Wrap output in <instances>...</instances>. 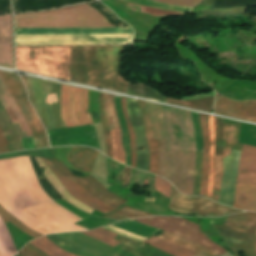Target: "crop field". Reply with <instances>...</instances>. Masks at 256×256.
Wrapping results in <instances>:
<instances>
[{
  "label": "crop field",
  "instance_id": "8a807250",
  "mask_svg": "<svg viewBox=\"0 0 256 256\" xmlns=\"http://www.w3.org/2000/svg\"><path fill=\"white\" fill-rule=\"evenodd\" d=\"M118 27L85 3L15 15V29ZM131 28L15 30V35L132 33ZM131 34L16 36L17 45L127 44Z\"/></svg>",
  "mask_w": 256,
  "mask_h": 256
},
{
  "label": "crop field",
  "instance_id": "ac0d7876",
  "mask_svg": "<svg viewBox=\"0 0 256 256\" xmlns=\"http://www.w3.org/2000/svg\"><path fill=\"white\" fill-rule=\"evenodd\" d=\"M240 143L256 147V126L242 123ZM243 145L241 151H232L223 159L224 177L220 188L219 203L232 207L237 182L256 183V148ZM234 208L256 211V184L237 183Z\"/></svg>",
  "mask_w": 256,
  "mask_h": 256
},
{
  "label": "crop field",
  "instance_id": "34b2d1b8",
  "mask_svg": "<svg viewBox=\"0 0 256 256\" xmlns=\"http://www.w3.org/2000/svg\"><path fill=\"white\" fill-rule=\"evenodd\" d=\"M123 46L72 47L73 81L126 93L120 75Z\"/></svg>",
  "mask_w": 256,
  "mask_h": 256
},
{
  "label": "crop field",
  "instance_id": "412701ff",
  "mask_svg": "<svg viewBox=\"0 0 256 256\" xmlns=\"http://www.w3.org/2000/svg\"><path fill=\"white\" fill-rule=\"evenodd\" d=\"M16 68L71 81L70 47H15Z\"/></svg>",
  "mask_w": 256,
  "mask_h": 256
},
{
  "label": "crop field",
  "instance_id": "f4fd0767",
  "mask_svg": "<svg viewBox=\"0 0 256 256\" xmlns=\"http://www.w3.org/2000/svg\"><path fill=\"white\" fill-rule=\"evenodd\" d=\"M158 145L159 175L181 193L192 195L196 152L167 151L165 139L158 140Z\"/></svg>",
  "mask_w": 256,
  "mask_h": 256
},
{
  "label": "crop field",
  "instance_id": "dd49c442",
  "mask_svg": "<svg viewBox=\"0 0 256 256\" xmlns=\"http://www.w3.org/2000/svg\"><path fill=\"white\" fill-rule=\"evenodd\" d=\"M157 114L161 137L166 138L167 149L196 151V140L190 111L163 106Z\"/></svg>",
  "mask_w": 256,
  "mask_h": 256
},
{
  "label": "crop field",
  "instance_id": "e52e79f7",
  "mask_svg": "<svg viewBox=\"0 0 256 256\" xmlns=\"http://www.w3.org/2000/svg\"><path fill=\"white\" fill-rule=\"evenodd\" d=\"M29 96L47 130L65 127L60 117V84L27 78Z\"/></svg>",
  "mask_w": 256,
  "mask_h": 256
},
{
  "label": "crop field",
  "instance_id": "d8731c3e",
  "mask_svg": "<svg viewBox=\"0 0 256 256\" xmlns=\"http://www.w3.org/2000/svg\"><path fill=\"white\" fill-rule=\"evenodd\" d=\"M134 220L196 242L218 256L227 252V250L216 246L204 234H202L198 229V225L181 217H145L135 218Z\"/></svg>",
  "mask_w": 256,
  "mask_h": 256
},
{
  "label": "crop field",
  "instance_id": "5a996713",
  "mask_svg": "<svg viewBox=\"0 0 256 256\" xmlns=\"http://www.w3.org/2000/svg\"><path fill=\"white\" fill-rule=\"evenodd\" d=\"M61 117L66 127L93 123L88 114V90L61 84Z\"/></svg>",
  "mask_w": 256,
  "mask_h": 256
},
{
  "label": "crop field",
  "instance_id": "3316defc",
  "mask_svg": "<svg viewBox=\"0 0 256 256\" xmlns=\"http://www.w3.org/2000/svg\"><path fill=\"white\" fill-rule=\"evenodd\" d=\"M52 163L59 169L61 170L65 175L69 176L73 180L77 181L79 184H81L86 190H88L92 195L97 197L98 199L109 203L115 208L120 207L123 205L126 201L120 199L116 195L108 192L105 187H103L98 181H96L93 177L90 175L86 177L79 178L75 175H73L68 168L58 159H53ZM76 182V183H77ZM112 213H116L122 216H125L127 218H132V217H138V216H146V215H151L143 211H139L136 209H132L128 206L122 207L120 210H116Z\"/></svg>",
  "mask_w": 256,
  "mask_h": 256
},
{
  "label": "crop field",
  "instance_id": "28ad6ade",
  "mask_svg": "<svg viewBox=\"0 0 256 256\" xmlns=\"http://www.w3.org/2000/svg\"><path fill=\"white\" fill-rule=\"evenodd\" d=\"M47 237L66 251L73 253L77 256H100L76 248L68 242L54 235H47ZM115 240H118L122 243L111 249L116 252L113 256H171L165 252H162L151 246H145L141 242L126 238L122 235H118Z\"/></svg>",
  "mask_w": 256,
  "mask_h": 256
},
{
  "label": "crop field",
  "instance_id": "d1516ede",
  "mask_svg": "<svg viewBox=\"0 0 256 256\" xmlns=\"http://www.w3.org/2000/svg\"><path fill=\"white\" fill-rule=\"evenodd\" d=\"M169 209L179 213L199 212L201 216H221L241 211L217 205L203 197L181 195L175 188L173 189Z\"/></svg>",
  "mask_w": 256,
  "mask_h": 256
},
{
  "label": "crop field",
  "instance_id": "22f410ed",
  "mask_svg": "<svg viewBox=\"0 0 256 256\" xmlns=\"http://www.w3.org/2000/svg\"><path fill=\"white\" fill-rule=\"evenodd\" d=\"M0 74L9 88L20 111L22 112L26 122L32 130L33 135L46 134L27 99L25 88L19 76L2 71H0Z\"/></svg>",
  "mask_w": 256,
  "mask_h": 256
},
{
  "label": "crop field",
  "instance_id": "cbeb9de0",
  "mask_svg": "<svg viewBox=\"0 0 256 256\" xmlns=\"http://www.w3.org/2000/svg\"><path fill=\"white\" fill-rule=\"evenodd\" d=\"M52 146L85 145L99 149L93 124L48 131Z\"/></svg>",
  "mask_w": 256,
  "mask_h": 256
},
{
  "label": "crop field",
  "instance_id": "5142ce71",
  "mask_svg": "<svg viewBox=\"0 0 256 256\" xmlns=\"http://www.w3.org/2000/svg\"><path fill=\"white\" fill-rule=\"evenodd\" d=\"M241 123L227 120L224 125L222 156L215 155L216 177L212 199L217 201L219 197L220 182L223 177L222 159L230 154L231 150H241L238 143Z\"/></svg>",
  "mask_w": 256,
  "mask_h": 256
},
{
  "label": "crop field",
  "instance_id": "d9b57169",
  "mask_svg": "<svg viewBox=\"0 0 256 256\" xmlns=\"http://www.w3.org/2000/svg\"><path fill=\"white\" fill-rule=\"evenodd\" d=\"M215 113L256 122V100L237 102L216 94Z\"/></svg>",
  "mask_w": 256,
  "mask_h": 256
},
{
  "label": "crop field",
  "instance_id": "733c2abd",
  "mask_svg": "<svg viewBox=\"0 0 256 256\" xmlns=\"http://www.w3.org/2000/svg\"><path fill=\"white\" fill-rule=\"evenodd\" d=\"M128 113L135 131L136 135V148L141 146H148L146 142V138L144 135V126L142 123V119L138 110V106L136 100L134 99H126ZM137 157V165L136 168H139L144 171H148L149 167V151L148 147L144 150H140L136 152Z\"/></svg>",
  "mask_w": 256,
  "mask_h": 256
},
{
  "label": "crop field",
  "instance_id": "4a817a6b",
  "mask_svg": "<svg viewBox=\"0 0 256 256\" xmlns=\"http://www.w3.org/2000/svg\"><path fill=\"white\" fill-rule=\"evenodd\" d=\"M104 104L110 129H120L116 112L113 106V96L104 93ZM113 142V159L125 164V155L121 143L120 130H111Z\"/></svg>",
  "mask_w": 256,
  "mask_h": 256
},
{
  "label": "crop field",
  "instance_id": "bc2a9ffb",
  "mask_svg": "<svg viewBox=\"0 0 256 256\" xmlns=\"http://www.w3.org/2000/svg\"><path fill=\"white\" fill-rule=\"evenodd\" d=\"M144 226L145 225H143L139 222L129 219V220L121 221V222H118V223H115V224H112L109 226H105L103 228L108 229L112 232L127 236ZM158 231H159V229L146 226V227L138 230L137 232L129 235L128 237L143 241V240L153 236Z\"/></svg>",
  "mask_w": 256,
  "mask_h": 256
},
{
  "label": "crop field",
  "instance_id": "214f88e0",
  "mask_svg": "<svg viewBox=\"0 0 256 256\" xmlns=\"http://www.w3.org/2000/svg\"><path fill=\"white\" fill-rule=\"evenodd\" d=\"M0 65L12 68L11 15L0 16Z\"/></svg>",
  "mask_w": 256,
  "mask_h": 256
},
{
  "label": "crop field",
  "instance_id": "92a150f3",
  "mask_svg": "<svg viewBox=\"0 0 256 256\" xmlns=\"http://www.w3.org/2000/svg\"><path fill=\"white\" fill-rule=\"evenodd\" d=\"M4 87H6V85H5L4 81L2 80V78L0 76V100L1 101L6 100V97L8 99L6 101H2L3 106L5 107V109L8 113V115L10 116L12 122L18 121L22 130L29 129V127L27 126L22 114L20 113L16 103L14 102V100H13V98H12V96H11V94L8 91L7 88L3 89V91L6 95V97H5V95H4V93L1 89V88H4ZM18 122H15L14 125H15V127H16L20 136L32 135L30 130L22 131Z\"/></svg>",
  "mask_w": 256,
  "mask_h": 256
},
{
  "label": "crop field",
  "instance_id": "dafd665d",
  "mask_svg": "<svg viewBox=\"0 0 256 256\" xmlns=\"http://www.w3.org/2000/svg\"><path fill=\"white\" fill-rule=\"evenodd\" d=\"M97 153L98 152L93 149L80 146H73L67 160L74 167L84 172H92L93 161Z\"/></svg>",
  "mask_w": 256,
  "mask_h": 256
},
{
  "label": "crop field",
  "instance_id": "00972430",
  "mask_svg": "<svg viewBox=\"0 0 256 256\" xmlns=\"http://www.w3.org/2000/svg\"><path fill=\"white\" fill-rule=\"evenodd\" d=\"M85 0H12L15 12L43 10L55 6L81 2Z\"/></svg>",
  "mask_w": 256,
  "mask_h": 256
},
{
  "label": "crop field",
  "instance_id": "a9b5d70f",
  "mask_svg": "<svg viewBox=\"0 0 256 256\" xmlns=\"http://www.w3.org/2000/svg\"><path fill=\"white\" fill-rule=\"evenodd\" d=\"M199 117H200V123H201V128H202L203 140H204V149H203V155H202V173H201L199 195H205L206 194L207 177H208V168H209L208 116L199 113Z\"/></svg>",
  "mask_w": 256,
  "mask_h": 256
},
{
  "label": "crop field",
  "instance_id": "4177f3b9",
  "mask_svg": "<svg viewBox=\"0 0 256 256\" xmlns=\"http://www.w3.org/2000/svg\"><path fill=\"white\" fill-rule=\"evenodd\" d=\"M46 159V158H45ZM48 164L51 166V168L54 170V172L62 179L64 180L76 193H78L81 197L86 199L88 202L108 211L111 212L115 210L114 208L110 207L106 203L96 199L94 196H92L89 192H87L83 187L77 185L75 182H73L70 178L62 174L51 162L49 159H46Z\"/></svg>",
  "mask_w": 256,
  "mask_h": 256
},
{
  "label": "crop field",
  "instance_id": "730fd06b",
  "mask_svg": "<svg viewBox=\"0 0 256 256\" xmlns=\"http://www.w3.org/2000/svg\"><path fill=\"white\" fill-rule=\"evenodd\" d=\"M36 161L38 162L39 166L45 165V163L42 161L41 158H36ZM44 176L46 179L50 182V184L58 191V193L65 198L69 203L91 213L94 209L84 205L77 199L71 197L69 193L66 191V189L62 186V184L56 179V177L51 173V171L48 169V167L45 165V172Z\"/></svg>",
  "mask_w": 256,
  "mask_h": 256
},
{
  "label": "crop field",
  "instance_id": "eef30255",
  "mask_svg": "<svg viewBox=\"0 0 256 256\" xmlns=\"http://www.w3.org/2000/svg\"><path fill=\"white\" fill-rule=\"evenodd\" d=\"M0 122H1L2 126L4 127L6 133L9 137L12 151L22 150L19 135H18L15 127L13 126L11 120L7 116L1 102H0ZM1 124H0V127H1L5 137L7 139L9 151L11 152L8 137H7L3 127L1 126Z\"/></svg>",
  "mask_w": 256,
  "mask_h": 256
},
{
  "label": "crop field",
  "instance_id": "ae1a2a85",
  "mask_svg": "<svg viewBox=\"0 0 256 256\" xmlns=\"http://www.w3.org/2000/svg\"><path fill=\"white\" fill-rule=\"evenodd\" d=\"M143 243H148L149 245H152L174 256H203L192 251H189L187 249L181 248L179 246H176L174 244H171L169 242H166L164 240H161L155 236Z\"/></svg>",
  "mask_w": 256,
  "mask_h": 256
},
{
  "label": "crop field",
  "instance_id": "d3111659",
  "mask_svg": "<svg viewBox=\"0 0 256 256\" xmlns=\"http://www.w3.org/2000/svg\"><path fill=\"white\" fill-rule=\"evenodd\" d=\"M215 123L216 118L209 116V134H210V169H209V177H208V188L206 196L211 198L212 193V185L215 177V168H214V149H215Z\"/></svg>",
  "mask_w": 256,
  "mask_h": 256
},
{
  "label": "crop field",
  "instance_id": "750c4746",
  "mask_svg": "<svg viewBox=\"0 0 256 256\" xmlns=\"http://www.w3.org/2000/svg\"><path fill=\"white\" fill-rule=\"evenodd\" d=\"M214 92L197 94L182 98L181 100L190 102V107L212 112ZM191 108V109H192Z\"/></svg>",
  "mask_w": 256,
  "mask_h": 256
},
{
  "label": "crop field",
  "instance_id": "bd1437ed",
  "mask_svg": "<svg viewBox=\"0 0 256 256\" xmlns=\"http://www.w3.org/2000/svg\"><path fill=\"white\" fill-rule=\"evenodd\" d=\"M158 237L161 239L167 240L169 242L175 243L177 245H180L182 247L188 248L190 250H193L197 253L203 254L205 256H216L213 253H211L210 251L206 250L205 248H203L193 242L182 239L180 237H177V236L167 233L165 231Z\"/></svg>",
  "mask_w": 256,
  "mask_h": 256
},
{
  "label": "crop field",
  "instance_id": "1d83c4d3",
  "mask_svg": "<svg viewBox=\"0 0 256 256\" xmlns=\"http://www.w3.org/2000/svg\"><path fill=\"white\" fill-rule=\"evenodd\" d=\"M30 243L49 256H73L55 245L46 236L31 241Z\"/></svg>",
  "mask_w": 256,
  "mask_h": 256
},
{
  "label": "crop field",
  "instance_id": "120bbe31",
  "mask_svg": "<svg viewBox=\"0 0 256 256\" xmlns=\"http://www.w3.org/2000/svg\"><path fill=\"white\" fill-rule=\"evenodd\" d=\"M127 93L149 97L153 99L163 100L165 101L166 97L158 94L151 86L147 84H131L128 83Z\"/></svg>",
  "mask_w": 256,
  "mask_h": 256
},
{
  "label": "crop field",
  "instance_id": "d32e631a",
  "mask_svg": "<svg viewBox=\"0 0 256 256\" xmlns=\"http://www.w3.org/2000/svg\"><path fill=\"white\" fill-rule=\"evenodd\" d=\"M114 105L117 111V115H118V119L121 127L124 148L126 150V164L130 166L131 156H130V148H129V142H128V131L126 129V125H125L121 107H120V97L114 96Z\"/></svg>",
  "mask_w": 256,
  "mask_h": 256
},
{
  "label": "crop field",
  "instance_id": "5866460e",
  "mask_svg": "<svg viewBox=\"0 0 256 256\" xmlns=\"http://www.w3.org/2000/svg\"><path fill=\"white\" fill-rule=\"evenodd\" d=\"M99 107H100L101 125L103 129L104 137H105L106 153H107V156L112 158L111 138L109 133L107 117H106L105 109L103 106V93L101 92H99Z\"/></svg>",
  "mask_w": 256,
  "mask_h": 256
},
{
  "label": "crop field",
  "instance_id": "028f5c9d",
  "mask_svg": "<svg viewBox=\"0 0 256 256\" xmlns=\"http://www.w3.org/2000/svg\"><path fill=\"white\" fill-rule=\"evenodd\" d=\"M86 236H90V237H93L109 246H112L114 247L116 244L120 243V242H117L115 240H113L117 234H114L108 230H105L103 228H99V229H95V230H92V231H88V232H80Z\"/></svg>",
  "mask_w": 256,
  "mask_h": 256
},
{
  "label": "crop field",
  "instance_id": "e1f06a70",
  "mask_svg": "<svg viewBox=\"0 0 256 256\" xmlns=\"http://www.w3.org/2000/svg\"><path fill=\"white\" fill-rule=\"evenodd\" d=\"M227 222L238 223L245 226L256 228V213L246 212L242 214L233 215L228 218ZM254 251L256 253V240L254 245Z\"/></svg>",
  "mask_w": 256,
  "mask_h": 256
},
{
  "label": "crop field",
  "instance_id": "0bd39190",
  "mask_svg": "<svg viewBox=\"0 0 256 256\" xmlns=\"http://www.w3.org/2000/svg\"><path fill=\"white\" fill-rule=\"evenodd\" d=\"M0 216L4 220V222L10 221L12 224H14L18 229H20L22 232L36 238L39 236H42L41 234L29 229L28 227L24 226L21 222H19L15 217H13L10 213H8L1 205H0Z\"/></svg>",
  "mask_w": 256,
  "mask_h": 256
},
{
  "label": "crop field",
  "instance_id": "b80d0937",
  "mask_svg": "<svg viewBox=\"0 0 256 256\" xmlns=\"http://www.w3.org/2000/svg\"><path fill=\"white\" fill-rule=\"evenodd\" d=\"M214 226L220 235L229 236V237L237 238V239H240V240H243L246 242L253 243L255 234L245 233V232H241V231H237V230L234 231L229 228L222 227V226H216V225H214Z\"/></svg>",
  "mask_w": 256,
  "mask_h": 256
},
{
  "label": "crop field",
  "instance_id": "c035e120",
  "mask_svg": "<svg viewBox=\"0 0 256 256\" xmlns=\"http://www.w3.org/2000/svg\"><path fill=\"white\" fill-rule=\"evenodd\" d=\"M123 1L133 2L136 4L155 7V8H159V9L172 10V11H176V12H189L191 9L189 7H177V6L165 5V4L153 2L150 0H123Z\"/></svg>",
  "mask_w": 256,
  "mask_h": 256
},
{
  "label": "crop field",
  "instance_id": "c21b1889",
  "mask_svg": "<svg viewBox=\"0 0 256 256\" xmlns=\"http://www.w3.org/2000/svg\"><path fill=\"white\" fill-rule=\"evenodd\" d=\"M20 155H31V156L47 157V158H54L55 157L51 148H47V149H40V150H33V151H26V152L0 155V158L16 157V156H20Z\"/></svg>",
  "mask_w": 256,
  "mask_h": 256
},
{
  "label": "crop field",
  "instance_id": "03da06ac",
  "mask_svg": "<svg viewBox=\"0 0 256 256\" xmlns=\"http://www.w3.org/2000/svg\"><path fill=\"white\" fill-rule=\"evenodd\" d=\"M149 142L150 151V168L149 171L158 175V146L157 140H151Z\"/></svg>",
  "mask_w": 256,
  "mask_h": 256
},
{
  "label": "crop field",
  "instance_id": "b54c1fbb",
  "mask_svg": "<svg viewBox=\"0 0 256 256\" xmlns=\"http://www.w3.org/2000/svg\"><path fill=\"white\" fill-rule=\"evenodd\" d=\"M121 107L123 109L124 112V116L126 119V123L129 129V135H130V139H131V154H132V163L131 166L135 168V143H134V132H133V128L131 126V123L129 121V117H128V113H127V109H126V104H125V98L121 97Z\"/></svg>",
  "mask_w": 256,
  "mask_h": 256
},
{
  "label": "crop field",
  "instance_id": "5d738f31",
  "mask_svg": "<svg viewBox=\"0 0 256 256\" xmlns=\"http://www.w3.org/2000/svg\"><path fill=\"white\" fill-rule=\"evenodd\" d=\"M137 102H138V106L141 111L142 119L144 122L146 138H147V140L154 139L151 123H150L148 113H147L146 104H145V102L139 101V100H137Z\"/></svg>",
  "mask_w": 256,
  "mask_h": 256
},
{
  "label": "crop field",
  "instance_id": "d23c7cc5",
  "mask_svg": "<svg viewBox=\"0 0 256 256\" xmlns=\"http://www.w3.org/2000/svg\"><path fill=\"white\" fill-rule=\"evenodd\" d=\"M137 12L158 16V17H166L167 15H185V13L169 12L165 10H157L154 8L143 7V6H138Z\"/></svg>",
  "mask_w": 256,
  "mask_h": 256
},
{
  "label": "crop field",
  "instance_id": "425ffa30",
  "mask_svg": "<svg viewBox=\"0 0 256 256\" xmlns=\"http://www.w3.org/2000/svg\"><path fill=\"white\" fill-rule=\"evenodd\" d=\"M225 119L217 118L216 123V150L215 154L221 155L222 150V132Z\"/></svg>",
  "mask_w": 256,
  "mask_h": 256
},
{
  "label": "crop field",
  "instance_id": "25e5ab78",
  "mask_svg": "<svg viewBox=\"0 0 256 256\" xmlns=\"http://www.w3.org/2000/svg\"><path fill=\"white\" fill-rule=\"evenodd\" d=\"M193 124L195 127V134L197 138V151H202V139L198 113L191 112Z\"/></svg>",
  "mask_w": 256,
  "mask_h": 256
},
{
  "label": "crop field",
  "instance_id": "73cf0c24",
  "mask_svg": "<svg viewBox=\"0 0 256 256\" xmlns=\"http://www.w3.org/2000/svg\"><path fill=\"white\" fill-rule=\"evenodd\" d=\"M201 154L202 152H197V155H196V170H195L193 195H198V190H199V180H200V173H201Z\"/></svg>",
  "mask_w": 256,
  "mask_h": 256
},
{
  "label": "crop field",
  "instance_id": "89e229c0",
  "mask_svg": "<svg viewBox=\"0 0 256 256\" xmlns=\"http://www.w3.org/2000/svg\"><path fill=\"white\" fill-rule=\"evenodd\" d=\"M155 189L169 197L171 185L167 181L155 176Z\"/></svg>",
  "mask_w": 256,
  "mask_h": 256
},
{
  "label": "crop field",
  "instance_id": "1f2cbd36",
  "mask_svg": "<svg viewBox=\"0 0 256 256\" xmlns=\"http://www.w3.org/2000/svg\"><path fill=\"white\" fill-rule=\"evenodd\" d=\"M45 254L28 243L16 256H47Z\"/></svg>",
  "mask_w": 256,
  "mask_h": 256
},
{
  "label": "crop field",
  "instance_id": "dbb93151",
  "mask_svg": "<svg viewBox=\"0 0 256 256\" xmlns=\"http://www.w3.org/2000/svg\"><path fill=\"white\" fill-rule=\"evenodd\" d=\"M162 3H168L179 6H195L200 3L201 0H154Z\"/></svg>",
  "mask_w": 256,
  "mask_h": 256
},
{
  "label": "crop field",
  "instance_id": "0fb4a251",
  "mask_svg": "<svg viewBox=\"0 0 256 256\" xmlns=\"http://www.w3.org/2000/svg\"><path fill=\"white\" fill-rule=\"evenodd\" d=\"M42 159H43V161L46 163V165L49 167V169L52 171V173L57 177V179L63 184V186L69 191V193H70L72 196H74L75 198H77V199L80 200L81 202H83V203H85V204H87V205L93 207L92 204H90V203L84 201V200H83L80 196H78L65 182H63V181L53 172V170L50 168V166L47 164V162L44 160V158H42ZM94 207H95V206H94ZM96 209L99 210V211H101V212H103V213H105V214L108 213V212H106V211H104V210H101V209H99V208H97V207H96Z\"/></svg>",
  "mask_w": 256,
  "mask_h": 256
},
{
  "label": "crop field",
  "instance_id": "1d79db26",
  "mask_svg": "<svg viewBox=\"0 0 256 256\" xmlns=\"http://www.w3.org/2000/svg\"><path fill=\"white\" fill-rule=\"evenodd\" d=\"M0 152L1 153L9 152L7 143H6V139H5L1 129H0Z\"/></svg>",
  "mask_w": 256,
  "mask_h": 256
},
{
  "label": "crop field",
  "instance_id": "9d1cf04e",
  "mask_svg": "<svg viewBox=\"0 0 256 256\" xmlns=\"http://www.w3.org/2000/svg\"><path fill=\"white\" fill-rule=\"evenodd\" d=\"M223 226L233 228V229H237V230H241V231L252 232V233H255V231H256V229H253V228H246V227H241V226L226 224V223H224Z\"/></svg>",
  "mask_w": 256,
  "mask_h": 256
},
{
  "label": "crop field",
  "instance_id": "447ae74e",
  "mask_svg": "<svg viewBox=\"0 0 256 256\" xmlns=\"http://www.w3.org/2000/svg\"><path fill=\"white\" fill-rule=\"evenodd\" d=\"M0 13H10L9 0H0Z\"/></svg>",
  "mask_w": 256,
  "mask_h": 256
},
{
  "label": "crop field",
  "instance_id": "0765c3eb",
  "mask_svg": "<svg viewBox=\"0 0 256 256\" xmlns=\"http://www.w3.org/2000/svg\"><path fill=\"white\" fill-rule=\"evenodd\" d=\"M166 102L172 103V104H175V105H178V106L189 107V103H187V102H183V101H181V100L172 99V98H168V97H167Z\"/></svg>",
  "mask_w": 256,
  "mask_h": 256
},
{
  "label": "crop field",
  "instance_id": "db79e9e6",
  "mask_svg": "<svg viewBox=\"0 0 256 256\" xmlns=\"http://www.w3.org/2000/svg\"><path fill=\"white\" fill-rule=\"evenodd\" d=\"M206 233L208 235H212V236H220V235H216V234H212V233H208V232H206ZM220 237H222V236H220ZM222 238H224L229 245L245 243V242H242V241H238V240H234V239H230V238H226V237H222Z\"/></svg>",
  "mask_w": 256,
  "mask_h": 256
},
{
  "label": "crop field",
  "instance_id": "7b73153f",
  "mask_svg": "<svg viewBox=\"0 0 256 256\" xmlns=\"http://www.w3.org/2000/svg\"><path fill=\"white\" fill-rule=\"evenodd\" d=\"M103 217L111 218V219H116V220L125 219V218L118 217V216H115V215H112V214H109V215H106V216H103Z\"/></svg>",
  "mask_w": 256,
  "mask_h": 256
},
{
  "label": "crop field",
  "instance_id": "78b8030e",
  "mask_svg": "<svg viewBox=\"0 0 256 256\" xmlns=\"http://www.w3.org/2000/svg\"><path fill=\"white\" fill-rule=\"evenodd\" d=\"M1 255V254H0Z\"/></svg>",
  "mask_w": 256,
  "mask_h": 256
}]
</instances>
